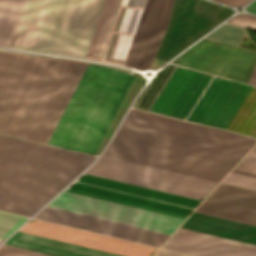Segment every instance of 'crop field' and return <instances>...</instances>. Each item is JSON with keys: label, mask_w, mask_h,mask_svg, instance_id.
I'll use <instances>...</instances> for the list:
<instances>
[{"label": "crop field", "mask_w": 256, "mask_h": 256, "mask_svg": "<svg viewBox=\"0 0 256 256\" xmlns=\"http://www.w3.org/2000/svg\"><path fill=\"white\" fill-rule=\"evenodd\" d=\"M155 256H188L180 253H175L167 250L160 249Z\"/></svg>", "instance_id": "crop-field-30"}, {"label": "crop field", "mask_w": 256, "mask_h": 256, "mask_svg": "<svg viewBox=\"0 0 256 256\" xmlns=\"http://www.w3.org/2000/svg\"><path fill=\"white\" fill-rule=\"evenodd\" d=\"M66 191L186 218L199 200L83 174Z\"/></svg>", "instance_id": "crop-field-8"}, {"label": "crop field", "mask_w": 256, "mask_h": 256, "mask_svg": "<svg viewBox=\"0 0 256 256\" xmlns=\"http://www.w3.org/2000/svg\"><path fill=\"white\" fill-rule=\"evenodd\" d=\"M95 158L0 134V210L31 216Z\"/></svg>", "instance_id": "crop-field-3"}, {"label": "crop field", "mask_w": 256, "mask_h": 256, "mask_svg": "<svg viewBox=\"0 0 256 256\" xmlns=\"http://www.w3.org/2000/svg\"><path fill=\"white\" fill-rule=\"evenodd\" d=\"M248 11L256 13V1H254L252 4H250L249 6H247L246 8Z\"/></svg>", "instance_id": "crop-field-31"}, {"label": "crop field", "mask_w": 256, "mask_h": 256, "mask_svg": "<svg viewBox=\"0 0 256 256\" xmlns=\"http://www.w3.org/2000/svg\"><path fill=\"white\" fill-rule=\"evenodd\" d=\"M163 248L196 256H256V246L179 228Z\"/></svg>", "instance_id": "crop-field-15"}, {"label": "crop field", "mask_w": 256, "mask_h": 256, "mask_svg": "<svg viewBox=\"0 0 256 256\" xmlns=\"http://www.w3.org/2000/svg\"><path fill=\"white\" fill-rule=\"evenodd\" d=\"M47 205L171 234L183 218L63 191Z\"/></svg>", "instance_id": "crop-field-9"}, {"label": "crop field", "mask_w": 256, "mask_h": 256, "mask_svg": "<svg viewBox=\"0 0 256 256\" xmlns=\"http://www.w3.org/2000/svg\"><path fill=\"white\" fill-rule=\"evenodd\" d=\"M251 44H253V43L250 41L247 33L245 32V34H244V36H243L239 46L240 47H244V48H249L251 46ZM248 83L256 85V67H255V69L253 71V74H252V76H251V78H250Z\"/></svg>", "instance_id": "crop-field-28"}, {"label": "crop field", "mask_w": 256, "mask_h": 256, "mask_svg": "<svg viewBox=\"0 0 256 256\" xmlns=\"http://www.w3.org/2000/svg\"><path fill=\"white\" fill-rule=\"evenodd\" d=\"M169 65V64H168ZM167 65V66H168ZM166 66V67H167ZM165 67V68H166ZM175 67V65H173V64H170L165 70H163L156 78H155V80L149 85V87H148V85L144 88V90L146 89V91L144 92V90L140 93V95H139V97L141 96V94H142V96L140 97V99H139V97H138V99H139V101L137 102V100H136V102H137V104H136V102H135V107H137V108H141V109H145V110H147V108L149 107V105L151 104V102L153 101V99H154V97L156 96V94L158 93V91L160 90V88L162 87V85L164 84V82L166 81V79L168 78V76H169V74L171 73V71L173 70V68ZM134 107V106H133Z\"/></svg>", "instance_id": "crop-field-21"}, {"label": "crop field", "mask_w": 256, "mask_h": 256, "mask_svg": "<svg viewBox=\"0 0 256 256\" xmlns=\"http://www.w3.org/2000/svg\"><path fill=\"white\" fill-rule=\"evenodd\" d=\"M172 62L247 83L256 52L204 38Z\"/></svg>", "instance_id": "crop-field-10"}, {"label": "crop field", "mask_w": 256, "mask_h": 256, "mask_svg": "<svg viewBox=\"0 0 256 256\" xmlns=\"http://www.w3.org/2000/svg\"><path fill=\"white\" fill-rule=\"evenodd\" d=\"M227 22L256 30V17L248 14H238L230 18Z\"/></svg>", "instance_id": "crop-field-27"}, {"label": "crop field", "mask_w": 256, "mask_h": 256, "mask_svg": "<svg viewBox=\"0 0 256 256\" xmlns=\"http://www.w3.org/2000/svg\"><path fill=\"white\" fill-rule=\"evenodd\" d=\"M196 211L256 226V191L220 183Z\"/></svg>", "instance_id": "crop-field-14"}, {"label": "crop field", "mask_w": 256, "mask_h": 256, "mask_svg": "<svg viewBox=\"0 0 256 256\" xmlns=\"http://www.w3.org/2000/svg\"><path fill=\"white\" fill-rule=\"evenodd\" d=\"M227 130L256 137V88L253 87L228 126Z\"/></svg>", "instance_id": "crop-field-20"}, {"label": "crop field", "mask_w": 256, "mask_h": 256, "mask_svg": "<svg viewBox=\"0 0 256 256\" xmlns=\"http://www.w3.org/2000/svg\"><path fill=\"white\" fill-rule=\"evenodd\" d=\"M19 230L124 256H151L157 250L156 248L35 219H30Z\"/></svg>", "instance_id": "crop-field-12"}, {"label": "crop field", "mask_w": 256, "mask_h": 256, "mask_svg": "<svg viewBox=\"0 0 256 256\" xmlns=\"http://www.w3.org/2000/svg\"><path fill=\"white\" fill-rule=\"evenodd\" d=\"M36 218L159 247L168 234L46 207Z\"/></svg>", "instance_id": "crop-field-13"}, {"label": "crop field", "mask_w": 256, "mask_h": 256, "mask_svg": "<svg viewBox=\"0 0 256 256\" xmlns=\"http://www.w3.org/2000/svg\"><path fill=\"white\" fill-rule=\"evenodd\" d=\"M27 219L0 211V238L4 239Z\"/></svg>", "instance_id": "crop-field-22"}, {"label": "crop field", "mask_w": 256, "mask_h": 256, "mask_svg": "<svg viewBox=\"0 0 256 256\" xmlns=\"http://www.w3.org/2000/svg\"><path fill=\"white\" fill-rule=\"evenodd\" d=\"M86 65L0 52V132L47 143Z\"/></svg>", "instance_id": "crop-field-2"}, {"label": "crop field", "mask_w": 256, "mask_h": 256, "mask_svg": "<svg viewBox=\"0 0 256 256\" xmlns=\"http://www.w3.org/2000/svg\"><path fill=\"white\" fill-rule=\"evenodd\" d=\"M0 256H51V255L3 244L0 247Z\"/></svg>", "instance_id": "crop-field-26"}, {"label": "crop field", "mask_w": 256, "mask_h": 256, "mask_svg": "<svg viewBox=\"0 0 256 256\" xmlns=\"http://www.w3.org/2000/svg\"><path fill=\"white\" fill-rule=\"evenodd\" d=\"M137 22L136 20L116 17L101 60L124 64Z\"/></svg>", "instance_id": "crop-field-18"}, {"label": "crop field", "mask_w": 256, "mask_h": 256, "mask_svg": "<svg viewBox=\"0 0 256 256\" xmlns=\"http://www.w3.org/2000/svg\"><path fill=\"white\" fill-rule=\"evenodd\" d=\"M84 172L199 200L217 184L104 155Z\"/></svg>", "instance_id": "crop-field-7"}, {"label": "crop field", "mask_w": 256, "mask_h": 256, "mask_svg": "<svg viewBox=\"0 0 256 256\" xmlns=\"http://www.w3.org/2000/svg\"><path fill=\"white\" fill-rule=\"evenodd\" d=\"M214 1H218V2L228 4V5H232V6H238V5H243L248 0H214Z\"/></svg>", "instance_id": "crop-field-29"}, {"label": "crop field", "mask_w": 256, "mask_h": 256, "mask_svg": "<svg viewBox=\"0 0 256 256\" xmlns=\"http://www.w3.org/2000/svg\"><path fill=\"white\" fill-rule=\"evenodd\" d=\"M144 3L145 0H122L117 16L138 20Z\"/></svg>", "instance_id": "crop-field-23"}, {"label": "crop field", "mask_w": 256, "mask_h": 256, "mask_svg": "<svg viewBox=\"0 0 256 256\" xmlns=\"http://www.w3.org/2000/svg\"><path fill=\"white\" fill-rule=\"evenodd\" d=\"M4 243L56 256H119L19 231Z\"/></svg>", "instance_id": "crop-field-16"}, {"label": "crop field", "mask_w": 256, "mask_h": 256, "mask_svg": "<svg viewBox=\"0 0 256 256\" xmlns=\"http://www.w3.org/2000/svg\"><path fill=\"white\" fill-rule=\"evenodd\" d=\"M251 89L252 86L230 80L203 123L225 129Z\"/></svg>", "instance_id": "crop-field-17"}, {"label": "crop field", "mask_w": 256, "mask_h": 256, "mask_svg": "<svg viewBox=\"0 0 256 256\" xmlns=\"http://www.w3.org/2000/svg\"><path fill=\"white\" fill-rule=\"evenodd\" d=\"M2 240L0 239V242H1Z\"/></svg>", "instance_id": "crop-field-32"}, {"label": "crop field", "mask_w": 256, "mask_h": 256, "mask_svg": "<svg viewBox=\"0 0 256 256\" xmlns=\"http://www.w3.org/2000/svg\"><path fill=\"white\" fill-rule=\"evenodd\" d=\"M28 0H0V44L13 45ZM103 0H29L13 46L84 56Z\"/></svg>", "instance_id": "crop-field-4"}, {"label": "crop field", "mask_w": 256, "mask_h": 256, "mask_svg": "<svg viewBox=\"0 0 256 256\" xmlns=\"http://www.w3.org/2000/svg\"><path fill=\"white\" fill-rule=\"evenodd\" d=\"M255 142L221 129L130 109L103 154L220 182Z\"/></svg>", "instance_id": "crop-field-1"}, {"label": "crop field", "mask_w": 256, "mask_h": 256, "mask_svg": "<svg viewBox=\"0 0 256 256\" xmlns=\"http://www.w3.org/2000/svg\"><path fill=\"white\" fill-rule=\"evenodd\" d=\"M233 171L256 177V145L239 162Z\"/></svg>", "instance_id": "crop-field-24"}, {"label": "crop field", "mask_w": 256, "mask_h": 256, "mask_svg": "<svg viewBox=\"0 0 256 256\" xmlns=\"http://www.w3.org/2000/svg\"><path fill=\"white\" fill-rule=\"evenodd\" d=\"M222 182L256 190V178L247 175L231 172Z\"/></svg>", "instance_id": "crop-field-25"}, {"label": "crop field", "mask_w": 256, "mask_h": 256, "mask_svg": "<svg viewBox=\"0 0 256 256\" xmlns=\"http://www.w3.org/2000/svg\"><path fill=\"white\" fill-rule=\"evenodd\" d=\"M173 0H146L125 64L150 67L167 27Z\"/></svg>", "instance_id": "crop-field-11"}, {"label": "crop field", "mask_w": 256, "mask_h": 256, "mask_svg": "<svg viewBox=\"0 0 256 256\" xmlns=\"http://www.w3.org/2000/svg\"><path fill=\"white\" fill-rule=\"evenodd\" d=\"M132 78L89 63L48 143L94 154Z\"/></svg>", "instance_id": "crop-field-5"}, {"label": "crop field", "mask_w": 256, "mask_h": 256, "mask_svg": "<svg viewBox=\"0 0 256 256\" xmlns=\"http://www.w3.org/2000/svg\"><path fill=\"white\" fill-rule=\"evenodd\" d=\"M120 1L121 0H104L86 54L87 58L101 59Z\"/></svg>", "instance_id": "crop-field-19"}, {"label": "crop field", "mask_w": 256, "mask_h": 256, "mask_svg": "<svg viewBox=\"0 0 256 256\" xmlns=\"http://www.w3.org/2000/svg\"><path fill=\"white\" fill-rule=\"evenodd\" d=\"M228 82L176 65L148 111L201 124Z\"/></svg>", "instance_id": "crop-field-6"}]
</instances>
